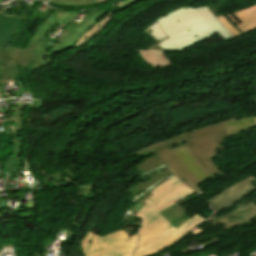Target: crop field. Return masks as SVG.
Returning a JSON list of instances; mask_svg holds the SVG:
<instances>
[{"label":"crop field","mask_w":256,"mask_h":256,"mask_svg":"<svg viewBox=\"0 0 256 256\" xmlns=\"http://www.w3.org/2000/svg\"><path fill=\"white\" fill-rule=\"evenodd\" d=\"M224 123L230 136H233L242 130L256 127L254 115L237 121H235V118L224 120Z\"/></svg>","instance_id":"obj_11"},{"label":"crop field","mask_w":256,"mask_h":256,"mask_svg":"<svg viewBox=\"0 0 256 256\" xmlns=\"http://www.w3.org/2000/svg\"><path fill=\"white\" fill-rule=\"evenodd\" d=\"M183 141H185V139H184L183 135L180 134V135L175 136L173 138L155 143L151 146H148L144 149H141V150L135 152V154H136L137 157L145 156V155H147L149 153H152L154 151L169 147V146H171L175 143H179V142H183Z\"/></svg>","instance_id":"obj_14"},{"label":"crop field","mask_w":256,"mask_h":256,"mask_svg":"<svg viewBox=\"0 0 256 256\" xmlns=\"http://www.w3.org/2000/svg\"><path fill=\"white\" fill-rule=\"evenodd\" d=\"M21 76L19 70L15 68L10 60L6 49L0 47V94L1 98H5V93L2 83L14 82L18 84L22 92H14L16 97H20V93H25L21 82Z\"/></svg>","instance_id":"obj_7"},{"label":"crop field","mask_w":256,"mask_h":256,"mask_svg":"<svg viewBox=\"0 0 256 256\" xmlns=\"http://www.w3.org/2000/svg\"><path fill=\"white\" fill-rule=\"evenodd\" d=\"M228 16L243 32L256 28V6L228 14Z\"/></svg>","instance_id":"obj_8"},{"label":"crop field","mask_w":256,"mask_h":256,"mask_svg":"<svg viewBox=\"0 0 256 256\" xmlns=\"http://www.w3.org/2000/svg\"><path fill=\"white\" fill-rule=\"evenodd\" d=\"M183 209L176 203L159 213L177 229L190 218Z\"/></svg>","instance_id":"obj_10"},{"label":"crop field","mask_w":256,"mask_h":256,"mask_svg":"<svg viewBox=\"0 0 256 256\" xmlns=\"http://www.w3.org/2000/svg\"><path fill=\"white\" fill-rule=\"evenodd\" d=\"M22 18H8L0 14V46L9 47L12 36Z\"/></svg>","instance_id":"obj_9"},{"label":"crop field","mask_w":256,"mask_h":256,"mask_svg":"<svg viewBox=\"0 0 256 256\" xmlns=\"http://www.w3.org/2000/svg\"><path fill=\"white\" fill-rule=\"evenodd\" d=\"M217 18L233 36L239 34V32L233 27V25L224 16L217 17Z\"/></svg>","instance_id":"obj_19"},{"label":"crop field","mask_w":256,"mask_h":256,"mask_svg":"<svg viewBox=\"0 0 256 256\" xmlns=\"http://www.w3.org/2000/svg\"><path fill=\"white\" fill-rule=\"evenodd\" d=\"M162 160L174 171L178 178L191 189L199 192L201 184L193 172L186 164L178 157L173 149L168 148L156 152Z\"/></svg>","instance_id":"obj_5"},{"label":"crop field","mask_w":256,"mask_h":256,"mask_svg":"<svg viewBox=\"0 0 256 256\" xmlns=\"http://www.w3.org/2000/svg\"><path fill=\"white\" fill-rule=\"evenodd\" d=\"M172 174V172L170 170L163 172L153 178H151L150 180H148L147 182H145L144 184H142L141 182L136 184L135 186H133L132 188L129 189L128 193H130L131 195L135 196L136 194H139L142 190H144L145 188H147L148 186H150L151 184H153L154 182L168 176Z\"/></svg>","instance_id":"obj_17"},{"label":"crop field","mask_w":256,"mask_h":256,"mask_svg":"<svg viewBox=\"0 0 256 256\" xmlns=\"http://www.w3.org/2000/svg\"><path fill=\"white\" fill-rule=\"evenodd\" d=\"M162 164L164 162L157 155H154L138 163L133 169L140 175Z\"/></svg>","instance_id":"obj_16"},{"label":"crop field","mask_w":256,"mask_h":256,"mask_svg":"<svg viewBox=\"0 0 256 256\" xmlns=\"http://www.w3.org/2000/svg\"><path fill=\"white\" fill-rule=\"evenodd\" d=\"M108 11L109 10L97 11L86 16L75 28L68 25L66 29L71 31L64 38L63 42L61 44L53 45L54 48H52L50 52H46L47 48L44 46L47 40L44 39V31H49L52 25L58 27L65 25L80 13L54 10L51 15L37 28L26 49L6 48L7 52L17 69L28 68L30 72L33 73L45 66H48V63L43 61L45 53L48 54V59L52 60L54 54L62 53L72 48L73 44L93 25H95L97 21Z\"/></svg>","instance_id":"obj_2"},{"label":"crop field","mask_w":256,"mask_h":256,"mask_svg":"<svg viewBox=\"0 0 256 256\" xmlns=\"http://www.w3.org/2000/svg\"><path fill=\"white\" fill-rule=\"evenodd\" d=\"M184 135L191 155L210 179H215L214 175L217 174L223 176L211 160L217 149H223L220 144L223 143L222 139L229 137L223 121L189 131Z\"/></svg>","instance_id":"obj_3"},{"label":"crop field","mask_w":256,"mask_h":256,"mask_svg":"<svg viewBox=\"0 0 256 256\" xmlns=\"http://www.w3.org/2000/svg\"><path fill=\"white\" fill-rule=\"evenodd\" d=\"M104 1H107V0H97V4L100 3V2H104Z\"/></svg>","instance_id":"obj_21"},{"label":"crop field","mask_w":256,"mask_h":256,"mask_svg":"<svg viewBox=\"0 0 256 256\" xmlns=\"http://www.w3.org/2000/svg\"><path fill=\"white\" fill-rule=\"evenodd\" d=\"M137 234L131 237L123 230L103 238L88 232L81 241L84 256H130L136 247Z\"/></svg>","instance_id":"obj_4"},{"label":"crop field","mask_w":256,"mask_h":256,"mask_svg":"<svg viewBox=\"0 0 256 256\" xmlns=\"http://www.w3.org/2000/svg\"><path fill=\"white\" fill-rule=\"evenodd\" d=\"M147 204L136 214L143 219L139 233L138 247L133 256H149L172 245L197 223L204 219L194 215L177 230L158 212L186 198L193 191L182 185L176 176L168 179L151 191Z\"/></svg>","instance_id":"obj_1"},{"label":"crop field","mask_w":256,"mask_h":256,"mask_svg":"<svg viewBox=\"0 0 256 256\" xmlns=\"http://www.w3.org/2000/svg\"><path fill=\"white\" fill-rule=\"evenodd\" d=\"M114 9L110 10L105 16H103L98 23L93 26L84 36H82L76 43V46H81L84 42L90 38H92L96 32H98L101 28H103L109 21V17L112 13H114Z\"/></svg>","instance_id":"obj_15"},{"label":"crop field","mask_w":256,"mask_h":256,"mask_svg":"<svg viewBox=\"0 0 256 256\" xmlns=\"http://www.w3.org/2000/svg\"><path fill=\"white\" fill-rule=\"evenodd\" d=\"M50 4L63 6H93L96 2L95 0H53Z\"/></svg>","instance_id":"obj_18"},{"label":"crop field","mask_w":256,"mask_h":256,"mask_svg":"<svg viewBox=\"0 0 256 256\" xmlns=\"http://www.w3.org/2000/svg\"><path fill=\"white\" fill-rule=\"evenodd\" d=\"M174 150L179 155V157L187 164V166L195 173L201 183L208 179L189 154L186 144L176 147L174 148Z\"/></svg>","instance_id":"obj_12"},{"label":"crop field","mask_w":256,"mask_h":256,"mask_svg":"<svg viewBox=\"0 0 256 256\" xmlns=\"http://www.w3.org/2000/svg\"><path fill=\"white\" fill-rule=\"evenodd\" d=\"M52 11H53V9L49 8V9L47 10V12L43 15V17H42L41 20L44 21V20L49 16V14H50Z\"/></svg>","instance_id":"obj_20"},{"label":"crop field","mask_w":256,"mask_h":256,"mask_svg":"<svg viewBox=\"0 0 256 256\" xmlns=\"http://www.w3.org/2000/svg\"><path fill=\"white\" fill-rule=\"evenodd\" d=\"M138 53L147 63L151 64L154 68L164 67L172 64V62L166 58L164 52L140 50Z\"/></svg>","instance_id":"obj_13"},{"label":"crop field","mask_w":256,"mask_h":256,"mask_svg":"<svg viewBox=\"0 0 256 256\" xmlns=\"http://www.w3.org/2000/svg\"><path fill=\"white\" fill-rule=\"evenodd\" d=\"M254 179L255 178L250 176V177L242 180L241 182L233 185L232 187L224 190L223 192L214 196L212 199L208 200V203L211 205L214 212L220 210L221 208L242 198L250 191L256 189L251 182Z\"/></svg>","instance_id":"obj_6"}]
</instances>
